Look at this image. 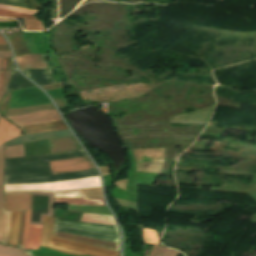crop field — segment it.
<instances>
[{
  "label": "crop field",
  "mask_w": 256,
  "mask_h": 256,
  "mask_svg": "<svg viewBox=\"0 0 256 256\" xmlns=\"http://www.w3.org/2000/svg\"><path fill=\"white\" fill-rule=\"evenodd\" d=\"M47 54H29L25 56H19L17 58V62L20 69L23 68H46Z\"/></svg>",
  "instance_id": "8"
},
{
  "label": "crop field",
  "mask_w": 256,
  "mask_h": 256,
  "mask_svg": "<svg viewBox=\"0 0 256 256\" xmlns=\"http://www.w3.org/2000/svg\"><path fill=\"white\" fill-rule=\"evenodd\" d=\"M54 235L63 237V238H67V239H71V240H75V241H79V242H83V243H87V244H91V245L104 247V248H107V249H110L113 251H119V247H120V244H117V243L103 242V241L89 239V238L71 235V234L54 232Z\"/></svg>",
  "instance_id": "10"
},
{
  "label": "crop field",
  "mask_w": 256,
  "mask_h": 256,
  "mask_svg": "<svg viewBox=\"0 0 256 256\" xmlns=\"http://www.w3.org/2000/svg\"><path fill=\"white\" fill-rule=\"evenodd\" d=\"M143 235L145 242L158 245L159 238L155 230L143 228Z\"/></svg>",
  "instance_id": "24"
},
{
  "label": "crop field",
  "mask_w": 256,
  "mask_h": 256,
  "mask_svg": "<svg viewBox=\"0 0 256 256\" xmlns=\"http://www.w3.org/2000/svg\"><path fill=\"white\" fill-rule=\"evenodd\" d=\"M0 3L10 4V5H16V6H22V7H26V8H28L24 3L15 2V1L0 0Z\"/></svg>",
  "instance_id": "31"
},
{
  "label": "crop field",
  "mask_w": 256,
  "mask_h": 256,
  "mask_svg": "<svg viewBox=\"0 0 256 256\" xmlns=\"http://www.w3.org/2000/svg\"><path fill=\"white\" fill-rule=\"evenodd\" d=\"M25 134L29 133H39V132H49V131H57V130H65L67 129L66 126L63 124L62 121L59 122H52V123H44L38 125H31L21 127Z\"/></svg>",
  "instance_id": "11"
},
{
  "label": "crop field",
  "mask_w": 256,
  "mask_h": 256,
  "mask_svg": "<svg viewBox=\"0 0 256 256\" xmlns=\"http://www.w3.org/2000/svg\"><path fill=\"white\" fill-rule=\"evenodd\" d=\"M54 218L43 216V230L41 236V246H45L57 251L75 254L79 256H119L118 252H112L94 246L73 242L52 236Z\"/></svg>",
  "instance_id": "2"
},
{
  "label": "crop field",
  "mask_w": 256,
  "mask_h": 256,
  "mask_svg": "<svg viewBox=\"0 0 256 256\" xmlns=\"http://www.w3.org/2000/svg\"><path fill=\"white\" fill-rule=\"evenodd\" d=\"M51 109H54L52 104L42 105V106H33V107H24V108L7 109L4 116L27 114V113H31V112L51 110Z\"/></svg>",
  "instance_id": "19"
},
{
  "label": "crop field",
  "mask_w": 256,
  "mask_h": 256,
  "mask_svg": "<svg viewBox=\"0 0 256 256\" xmlns=\"http://www.w3.org/2000/svg\"><path fill=\"white\" fill-rule=\"evenodd\" d=\"M25 30H45L39 20H27L25 19Z\"/></svg>",
  "instance_id": "26"
},
{
  "label": "crop field",
  "mask_w": 256,
  "mask_h": 256,
  "mask_svg": "<svg viewBox=\"0 0 256 256\" xmlns=\"http://www.w3.org/2000/svg\"><path fill=\"white\" fill-rule=\"evenodd\" d=\"M25 214H26V211H22L21 220H20V227H19L18 243H17V246H19V247H21V244H22Z\"/></svg>",
  "instance_id": "28"
},
{
  "label": "crop field",
  "mask_w": 256,
  "mask_h": 256,
  "mask_svg": "<svg viewBox=\"0 0 256 256\" xmlns=\"http://www.w3.org/2000/svg\"><path fill=\"white\" fill-rule=\"evenodd\" d=\"M51 152H65L80 149V145L73 137L48 140Z\"/></svg>",
  "instance_id": "9"
},
{
  "label": "crop field",
  "mask_w": 256,
  "mask_h": 256,
  "mask_svg": "<svg viewBox=\"0 0 256 256\" xmlns=\"http://www.w3.org/2000/svg\"><path fill=\"white\" fill-rule=\"evenodd\" d=\"M19 135H22V132L18 127L0 117V145Z\"/></svg>",
  "instance_id": "12"
},
{
  "label": "crop field",
  "mask_w": 256,
  "mask_h": 256,
  "mask_svg": "<svg viewBox=\"0 0 256 256\" xmlns=\"http://www.w3.org/2000/svg\"><path fill=\"white\" fill-rule=\"evenodd\" d=\"M6 58H3L2 69H5Z\"/></svg>",
  "instance_id": "36"
},
{
  "label": "crop field",
  "mask_w": 256,
  "mask_h": 256,
  "mask_svg": "<svg viewBox=\"0 0 256 256\" xmlns=\"http://www.w3.org/2000/svg\"><path fill=\"white\" fill-rule=\"evenodd\" d=\"M22 71L40 86L55 83L49 76L45 74L44 70H22Z\"/></svg>",
  "instance_id": "18"
},
{
  "label": "crop field",
  "mask_w": 256,
  "mask_h": 256,
  "mask_svg": "<svg viewBox=\"0 0 256 256\" xmlns=\"http://www.w3.org/2000/svg\"><path fill=\"white\" fill-rule=\"evenodd\" d=\"M80 221L117 225L112 216L100 214L83 213Z\"/></svg>",
  "instance_id": "20"
},
{
  "label": "crop field",
  "mask_w": 256,
  "mask_h": 256,
  "mask_svg": "<svg viewBox=\"0 0 256 256\" xmlns=\"http://www.w3.org/2000/svg\"><path fill=\"white\" fill-rule=\"evenodd\" d=\"M86 156L83 149L40 156L5 159L4 184H40L98 175L95 169L52 176L48 161Z\"/></svg>",
  "instance_id": "1"
},
{
  "label": "crop field",
  "mask_w": 256,
  "mask_h": 256,
  "mask_svg": "<svg viewBox=\"0 0 256 256\" xmlns=\"http://www.w3.org/2000/svg\"><path fill=\"white\" fill-rule=\"evenodd\" d=\"M0 21H12V20L0 18ZM14 21H15V20H14Z\"/></svg>",
  "instance_id": "37"
},
{
  "label": "crop field",
  "mask_w": 256,
  "mask_h": 256,
  "mask_svg": "<svg viewBox=\"0 0 256 256\" xmlns=\"http://www.w3.org/2000/svg\"><path fill=\"white\" fill-rule=\"evenodd\" d=\"M0 64H1V58H0Z\"/></svg>",
  "instance_id": "39"
},
{
  "label": "crop field",
  "mask_w": 256,
  "mask_h": 256,
  "mask_svg": "<svg viewBox=\"0 0 256 256\" xmlns=\"http://www.w3.org/2000/svg\"><path fill=\"white\" fill-rule=\"evenodd\" d=\"M0 16H2V17H13V18L36 19L34 16H30V15L22 14V13H16V12L7 11V10H1V9H0Z\"/></svg>",
  "instance_id": "27"
},
{
  "label": "crop field",
  "mask_w": 256,
  "mask_h": 256,
  "mask_svg": "<svg viewBox=\"0 0 256 256\" xmlns=\"http://www.w3.org/2000/svg\"><path fill=\"white\" fill-rule=\"evenodd\" d=\"M10 215L11 212H5V209L0 210V241L5 243L7 240Z\"/></svg>",
  "instance_id": "21"
},
{
  "label": "crop field",
  "mask_w": 256,
  "mask_h": 256,
  "mask_svg": "<svg viewBox=\"0 0 256 256\" xmlns=\"http://www.w3.org/2000/svg\"><path fill=\"white\" fill-rule=\"evenodd\" d=\"M32 86L34 85H32L29 81L22 77L18 71H14L11 72V79L7 90L23 89Z\"/></svg>",
  "instance_id": "17"
},
{
  "label": "crop field",
  "mask_w": 256,
  "mask_h": 256,
  "mask_svg": "<svg viewBox=\"0 0 256 256\" xmlns=\"http://www.w3.org/2000/svg\"><path fill=\"white\" fill-rule=\"evenodd\" d=\"M2 182H3V145L0 146V208H5Z\"/></svg>",
  "instance_id": "25"
},
{
  "label": "crop field",
  "mask_w": 256,
  "mask_h": 256,
  "mask_svg": "<svg viewBox=\"0 0 256 256\" xmlns=\"http://www.w3.org/2000/svg\"><path fill=\"white\" fill-rule=\"evenodd\" d=\"M15 1H20V2H23V0H15Z\"/></svg>",
  "instance_id": "38"
},
{
  "label": "crop field",
  "mask_w": 256,
  "mask_h": 256,
  "mask_svg": "<svg viewBox=\"0 0 256 256\" xmlns=\"http://www.w3.org/2000/svg\"><path fill=\"white\" fill-rule=\"evenodd\" d=\"M0 8L7 9V10H13V11H17V12H22V13H29V14H32L35 12L34 10L21 9V8L10 7V6H5V5H0Z\"/></svg>",
  "instance_id": "29"
},
{
  "label": "crop field",
  "mask_w": 256,
  "mask_h": 256,
  "mask_svg": "<svg viewBox=\"0 0 256 256\" xmlns=\"http://www.w3.org/2000/svg\"><path fill=\"white\" fill-rule=\"evenodd\" d=\"M6 118L18 126L60 120L55 110L36 112L27 115L9 116Z\"/></svg>",
  "instance_id": "6"
},
{
  "label": "crop field",
  "mask_w": 256,
  "mask_h": 256,
  "mask_svg": "<svg viewBox=\"0 0 256 256\" xmlns=\"http://www.w3.org/2000/svg\"><path fill=\"white\" fill-rule=\"evenodd\" d=\"M24 156L23 144L5 147V158Z\"/></svg>",
  "instance_id": "23"
},
{
  "label": "crop field",
  "mask_w": 256,
  "mask_h": 256,
  "mask_svg": "<svg viewBox=\"0 0 256 256\" xmlns=\"http://www.w3.org/2000/svg\"><path fill=\"white\" fill-rule=\"evenodd\" d=\"M54 101L57 104L58 108L70 106L66 100V97L56 98V99H54Z\"/></svg>",
  "instance_id": "30"
},
{
  "label": "crop field",
  "mask_w": 256,
  "mask_h": 256,
  "mask_svg": "<svg viewBox=\"0 0 256 256\" xmlns=\"http://www.w3.org/2000/svg\"><path fill=\"white\" fill-rule=\"evenodd\" d=\"M42 225H30L28 238H27V247L28 249H38L40 235H41Z\"/></svg>",
  "instance_id": "15"
},
{
  "label": "crop field",
  "mask_w": 256,
  "mask_h": 256,
  "mask_svg": "<svg viewBox=\"0 0 256 256\" xmlns=\"http://www.w3.org/2000/svg\"><path fill=\"white\" fill-rule=\"evenodd\" d=\"M20 214H21V211H17V212H12V215H11L10 230H9V237H8L7 243L15 246L17 243Z\"/></svg>",
  "instance_id": "16"
},
{
  "label": "crop field",
  "mask_w": 256,
  "mask_h": 256,
  "mask_svg": "<svg viewBox=\"0 0 256 256\" xmlns=\"http://www.w3.org/2000/svg\"><path fill=\"white\" fill-rule=\"evenodd\" d=\"M85 187H101L99 177L60 181L41 185H4V191L19 189H68Z\"/></svg>",
  "instance_id": "3"
},
{
  "label": "crop field",
  "mask_w": 256,
  "mask_h": 256,
  "mask_svg": "<svg viewBox=\"0 0 256 256\" xmlns=\"http://www.w3.org/2000/svg\"><path fill=\"white\" fill-rule=\"evenodd\" d=\"M49 163L53 175L94 167L88 157L53 161Z\"/></svg>",
  "instance_id": "5"
},
{
  "label": "crop field",
  "mask_w": 256,
  "mask_h": 256,
  "mask_svg": "<svg viewBox=\"0 0 256 256\" xmlns=\"http://www.w3.org/2000/svg\"><path fill=\"white\" fill-rule=\"evenodd\" d=\"M54 203L71 205L106 206L103 199H65L54 198Z\"/></svg>",
  "instance_id": "14"
},
{
  "label": "crop field",
  "mask_w": 256,
  "mask_h": 256,
  "mask_svg": "<svg viewBox=\"0 0 256 256\" xmlns=\"http://www.w3.org/2000/svg\"><path fill=\"white\" fill-rule=\"evenodd\" d=\"M0 256H31L29 251L0 244Z\"/></svg>",
  "instance_id": "22"
},
{
  "label": "crop field",
  "mask_w": 256,
  "mask_h": 256,
  "mask_svg": "<svg viewBox=\"0 0 256 256\" xmlns=\"http://www.w3.org/2000/svg\"><path fill=\"white\" fill-rule=\"evenodd\" d=\"M4 74H5V71H1V78H0V90H1L2 85H3V81H4Z\"/></svg>",
  "instance_id": "33"
},
{
  "label": "crop field",
  "mask_w": 256,
  "mask_h": 256,
  "mask_svg": "<svg viewBox=\"0 0 256 256\" xmlns=\"http://www.w3.org/2000/svg\"><path fill=\"white\" fill-rule=\"evenodd\" d=\"M8 78H9V70L6 71V77H5L4 85H3L2 91L0 93V100H1V98L4 94V92H5L6 87H7Z\"/></svg>",
  "instance_id": "32"
},
{
  "label": "crop field",
  "mask_w": 256,
  "mask_h": 256,
  "mask_svg": "<svg viewBox=\"0 0 256 256\" xmlns=\"http://www.w3.org/2000/svg\"><path fill=\"white\" fill-rule=\"evenodd\" d=\"M54 231L72 233V234L83 235V236H87L95 239H102V240H108V241L120 243V238L100 235V234H96V233H92L84 230L55 226Z\"/></svg>",
  "instance_id": "13"
},
{
  "label": "crop field",
  "mask_w": 256,
  "mask_h": 256,
  "mask_svg": "<svg viewBox=\"0 0 256 256\" xmlns=\"http://www.w3.org/2000/svg\"><path fill=\"white\" fill-rule=\"evenodd\" d=\"M0 45H7L2 36H0Z\"/></svg>",
  "instance_id": "35"
},
{
  "label": "crop field",
  "mask_w": 256,
  "mask_h": 256,
  "mask_svg": "<svg viewBox=\"0 0 256 256\" xmlns=\"http://www.w3.org/2000/svg\"><path fill=\"white\" fill-rule=\"evenodd\" d=\"M0 57H10V52H0Z\"/></svg>",
  "instance_id": "34"
},
{
  "label": "crop field",
  "mask_w": 256,
  "mask_h": 256,
  "mask_svg": "<svg viewBox=\"0 0 256 256\" xmlns=\"http://www.w3.org/2000/svg\"><path fill=\"white\" fill-rule=\"evenodd\" d=\"M6 211L30 210L31 193L4 195ZM30 211H27L22 247L26 246V237L29 226Z\"/></svg>",
  "instance_id": "4"
},
{
  "label": "crop field",
  "mask_w": 256,
  "mask_h": 256,
  "mask_svg": "<svg viewBox=\"0 0 256 256\" xmlns=\"http://www.w3.org/2000/svg\"><path fill=\"white\" fill-rule=\"evenodd\" d=\"M136 162H164L165 148L131 149Z\"/></svg>",
  "instance_id": "7"
}]
</instances>
